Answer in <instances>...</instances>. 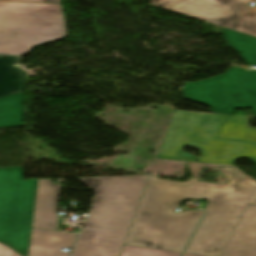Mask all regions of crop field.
Masks as SVG:
<instances>
[{"instance_id":"crop-field-1","label":"crop field","mask_w":256,"mask_h":256,"mask_svg":"<svg viewBox=\"0 0 256 256\" xmlns=\"http://www.w3.org/2000/svg\"><path fill=\"white\" fill-rule=\"evenodd\" d=\"M196 182L157 179L150 175L124 244L181 253L204 211L173 213L184 199L209 200L201 224L185 252L220 256L234 226L256 189V183L233 166L189 162ZM203 165L232 179L228 185L200 182Z\"/></svg>"},{"instance_id":"crop-field-2","label":"crop field","mask_w":256,"mask_h":256,"mask_svg":"<svg viewBox=\"0 0 256 256\" xmlns=\"http://www.w3.org/2000/svg\"><path fill=\"white\" fill-rule=\"evenodd\" d=\"M246 116L175 110L157 157L233 164L238 157L256 164V129ZM193 146L200 157L182 152Z\"/></svg>"},{"instance_id":"crop-field-3","label":"crop field","mask_w":256,"mask_h":256,"mask_svg":"<svg viewBox=\"0 0 256 256\" xmlns=\"http://www.w3.org/2000/svg\"><path fill=\"white\" fill-rule=\"evenodd\" d=\"M148 176L77 178L96 194L72 256H119Z\"/></svg>"},{"instance_id":"crop-field-4","label":"crop field","mask_w":256,"mask_h":256,"mask_svg":"<svg viewBox=\"0 0 256 256\" xmlns=\"http://www.w3.org/2000/svg\"><path fill=\"white\" fill-rule=\"evenodd\" d=\"M24 92L0 98V128L21 126ZM37 179L22 167L0 169V241L28 256Z\"/></svg>"},{"instance_id":"crop-field-5","label":"crop field","mask_w":256,"mask_h":256,"mask_svg":"<svg viewBox=\"0 0 256 256\" xmlns=\"http://www.w3.org/2000/svg\"><path fill=\"white\" fill-rule=\"evenodd\" d=\"M67 35L61 4L0 2V53L23 55Z\"/></svg>"},{"instance_id":"crop-field-6","label":"crop field","mask_w":256,"mask_h":256,"mask_svg":"<svg viewBox=\"0 0 256 256\" xmlns=\"http://www.w3.org/2000/svg\"><path fill=\"white\" fill-rule=\"evenodd\" d=\"M183 96L214 112L233 114L238 108H252L256 114V71L231 68L208 80L185 83Z\"/></svg>"},{"instance_id":"crop-field-7","label":"crop field","mask_w":256,"mask_h":256,"mask_svg":"<svg viewBox=\"0 0 256 256\" xmlns=\"http://www.w3.org/2000/svg\"><path fill=\"white\" fill-rule=\"evenodd\" d=\"M153 5L188 14L256 36V8L251 0H151Z\"/></svg>"},{"instance_id":"crop-field-8","label":"crop field","mask_w":256,"mask_h":256,"mask_svg":"<svg viewBox=\"0 0 256 256\" xmlns=\"http://www.w3.org/2000/svg\"><path fill=\"white\" fill-rule=\"evenodd\" d=\"M221 256H256V205H247Z\"/></svg>"},{"instance_id":"crop-field-9","label":"crop field","mask_w":256,"mask_h":256,"mask_svg":"<svg viewBox=\"0 0 256 256\" xmlns=\"http://www.w3.org/2000/svg\"><path fill=\"white\" fill-rule=\"evenodd\" d=\"M61 184L52 179L38 180L33 227L54 230L60 200Z\"/></svg>"},{"instance_id":"crop-field-10","label":"crop field","mask_w":256,"mask_h":256,"mask_svg":"<svg viewBox=\"0 0 256 256\" xmlns=\"http://www.w3.org/2000/svg\"><path fill=\"white\" fill-rule=\"evenodd\" d=\"M77 235L32 228L29 256H69L62 247L72 248Z\"/></svg>"},{"instance_id":"crop-field-11","label":"crop field","mask_w":256,"mask_h":256,"mask_svg":"<svg viewBox=\"0 0 256 256\" xmlns=\"http://www.w3.org/2000/svg\"><path fill=\"white\" fill-rule=\"evenodd\" d=\"M18 62L17 56H0V97L24 91V72L12 65Z\"/></svg>"},{"instance_id":"crop-field-12","label":"crop field","mask_w":256,"mask_h":256,"mask_svg":"<svg viewBox=\"0 0 256 256\" xmlns=\"http://www.w3.org/2000/svg\"><path fill=\"white\" fill-rule=\"evenodd\" d=\"M227 45L247 63L256 65V37L222 28Z\"/></svg>"},{"instance_id":"crop-field-13","label":"crop field","mask_w":256,"mask_h":256,"mask_svg":"<svg viewBox=\"0 0 256 256\" xmlns=\"http://www.w3.org/2000/svg\"><path fill=\"white\" fill-rule=\"evenodd\" d=\"M120 256H180V254L162 250L124 245Z\"/></svg>"},{"instance_id":"crop-field-14","label":"crop field","mask_w":256,"mask_h":256,"mask_svg":"<svg viewBox=\"0 0 256 256\" xmlns=\"http://www.w3.org/2000/svg\"><path fill=\"white\" fill-rule=\"evenodd\" d=\"M0 256H20L7 246L0 244Z\"/></svg>"},{"instance_id":"crop-field-15","label":"crop field","mask_w":256,"mask_h":256,"mask_svg":"<svg viewBox=\"0 0 256 256\" xmlns=\"http://www.w3.org/2000/svg\"><path fill=\"white\" fill-rule=\"evenodd\" d=\"M0 1H22V2H51V3H60V0H0Z\"/></svg>"},{"instance_id":"crop-field-16","label":"crop field","mask_w":256,"mask_h":256,"mask_svg":"<svg viewBox=\"0 0 256 256\" xmlns=\"http://www.w3.org/2000/svg\"><path fill=\"white\" fill-rule=\"evenodd\" d=\"M249 203L256 204V191L254 192L253 196L251 197Z\"/></svg>"},{"instance_id":"crop-field-17","label":"crop field","mask_w":256,"mask_h":256,"mask_svg":"<svg viewBox=\"0 0 256 256\" xmlns=\"http://www.w3.org/2000/svg\"><path fill=\"white\" fill-rule=\"evenodd\" d=\"M183 256H201V255H194V254H187V253H184Z\"/></svg>"}]
</instances>
